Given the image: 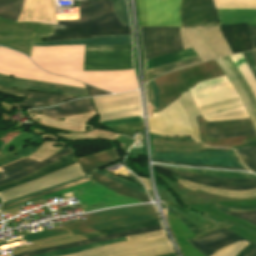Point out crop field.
Segmentation results:
<instances>
[{
	"label": "crop field",
	"instance_id": "1",
	"mask_svg": "<svg viewBox=\"0 0 256 256\" xmlns=\"http://www.w3.org/2000/svg\"><path fill=\"white\" fill-rule=\"evenodd\" d=\"M84 45L33 47L32 61L57 75L71 77L114 93L137 89L134 71L82 72Z\"/></svg>",
	"mask_w": 256,
	"mask_h": 256
},
{
	"label": "crop field",
	"instance_id": "2",
	"mask_svg": "<svg viewBox=\"0 0 256 256\" xmlns=\"http://www.w3.org/2000/svg\"><path fill=\"white\" fill-rule=\"evenodd\" d=\"M80 17L57 18L54 36L48 41L91 38V35L131 34L116 16L112 0H78Z\"/></svg>",
	"mask_w": 256,
	"mask_h": 256
},
{
	"label": "crop field",
	"instance_id": "3",
	"mask_svg": "<svg viewBox=\"0 0 256 256\" xmlns=\"http://www.w3.org/2000/svg\"><path fill=\"white\" fill-rule=\"evenodd\" d=\"M183 135H187L199 142V129L195 116L199 111L189 92L183 93L175 101ZM174 102L165 110L155 113L148 118L150 133L167 136L182 135Z\"/></svg>",
	"mask_w": 256,
	"mask_h": 256
},
{
	"label": "crop field",
	"instance_id": "4",
	"mask_svg": "<svg viewBox=\"0 0 256 256\" xmlns=\"http://www.w3.org/2000/svg\"><path fill=\"white\" fill-rule=\"evenodd\" d=\"M128 239L66 256H158L174 252L162 230L129 236Z\"/></svg>",
	"mask_w": 256,
	"mask_h": 256
},
{
	"label": "crop field",
	"instance_id": "5",
	"mask_svg": "<svg viewBox=\"0 0 256 256\" xmlns=\"http://www.w3.org/2000/svg\"><path fill=\"white\" fill-rule=\"evenodd\" d=\"M85 218L87 221L61 227L76 235L158 217L153 205H141L87 214Z\"/></svg>",
	"mask_w": 256,
	"mask_h": 256
},
{
	"label": "crop field",
	"instance_id": "6",
	"mask_svg": "<svg viewBox=\"0 0 256 256\" xmlns=\"http://www.w3.org/2000/svg\"><path fill=\"white\" fill-rule=\"evenodd\" d=\"M92 99L100 116V120L137 115L141 113L138 91L114 96L96 97ZM140 122H143V120L140 117V115H137L102 120L99 121V124L106 127H110Z\"/></svg>",
	"mask_w": 256,
	"mask_h": 256
},
{
	"label": "crop field",
	"instance_id": "7",
	"mask_svg": "<svg viewBox=\"0 0 256 256\" xmlns=\"http://www.w3.org/2000/svg\"><path fill=\"white\" fill-rule=\"evenodd\" d=\"M0 73L13 77L85 88L82 83L47 74L35 67L23 54L2 47H0Z\"/></svg>",
	"mask_w": 256,
	"mask_h": 256
},
{
	"label": "crop field",
	"instance_id": "8",
	"mask_svg": "<svg viewBox=\"0 0 256 256\" xmlns=\"http://www.w3.org/2000/svg\"><path fill=\"white\" fill-rule=\"evenodd\" d=\"M131 57V45H86L84 58H126ZM133 68L131 58L127 59H84L83 70H124Z\"/></svg>",
	"mask_w": 256,
	"mask_h": 256
},
{
	"label": "crop field",
	"instance_id": "9",
	"mask_svg": "<svg viewBox=\"0 0 256 256\" xmlns=\"http://www.w3.org/2000/svg\"><path fill=\"white\" fill-rule=\"evenodd\" d=\"M34 33L53 35L52 26L38 23H14L0 18V44L29 55Z\"/></svg>",
	"mask_w": 256,
	"mask_h": 256
},
{
	"label": "crop field",
	"instance_id": "10",
	"mask_svg": "<svg viewBox=\"0 0 256 256\" xmlns=\"http://www.w3.org/2000/svg\"><path fill=\"white\" fill-rule=\"evenodd\" d=\"M153 158L230 165V166H242L239 162L236 161L235 155L231 151H202V152L191 153V154L154 153ZM157 159H153V161L159 162V163H167V164L190 165V166L221 168V169H231V170H247L244 167H230V166L177 162V161H167V160H157Z\"/></svg>",
	"mask_w": 256,
	"mask_h": 256
},
{
	"label": "crop field",
	"instance_id": "11",
	"mask_svg": "<svg viewBox=\"0 0 256 256\" xmlns=\"http://www.w3.org/2000/svg\"><path fill=\"white\" fill-rule=\"evenodd\" d=\"M140 25L182 26L181 0H137Z\"/></svg>",
	"mask_w": 256,
	"mask_h": 256
},
{
	"label": "crop field",
	"instance_id": "12",
	"mask_svg": "<svg viewBox=\"0 0 256 256\" xmlns=\"http://www.w3.org/2000/svg\"><path fill=\"white\" fill-rule=\"evenodd\" d=\"M72 191L76 199L82 204L83 209L94 204L104 201L106 207L143 203L126 196L117 194L116 192L101 186L93 181L81 184L72 188H68L57 193L43 197L44 199L51 198L66 192ZM80 191H82L80 193Z\"/></svg>",
	"mask_w": 256,
	"mask_h": 256
},
{
	"label": "crop field",
	"instance_id": "13",
	"mask_svg": "<svg viewBox=\"0 0 256 256\" xmlns=\"http://www.w3.org/2000/svg\"><path fill=\"white\" fill-rule=\"evenodd\" d=\"M118 158H119V155L117 151L115 150V148H112L102 154L96 153V154L87 156L79 160V164L81 165L83 172L92 180L116 191L119 194L126 195V196H129L138 200H142L145 202H149L150 200L148 195L134 191L125 186H122L92 171L96 168L111 164L117 161Z\"/></svg>",
	"mask_w": 256,
	"mask_h": 256
},
{
	"label": "crop field",
	"instance_id": "14",
	"mask_svg": "<svg viewBox=\"0 0 256 256\" xmlns=\"http://www.w3.org/2000/svg\"><path fill=\"white\" fill-rule=\"evenodd\" d=\"M143 45L180 39L179 28L141 27ZM146 59L182 50L181 40L143 46Z\"/></svg>",
	"mask_w": 256,
	"mask_h": 256
},
{
	"label": "crop field",
	"instance_id": "15",
	"mask_svg": "<svg viewBox=\"0 0 256 256\" xmlns=\"http://www.w3.org/2000/svg\"><path fill=\"white\" fill-rule=\"evenodd\" d=\"M84 176L79 164L69 166L57 172L44 176L42 178L21 184L12 189L0 193L4 201L38 191L47 187H51L78 177Z\"/></svg>",
	"mask_w": 256,
	"mask_h": 256
},
{
	"label": "crop field",
	"instance_id": "16",
	"mask_svg": "<svg viewBox=\"0 0 256 256\" xmlns=\"http://www.w3.org/2000/svg\"><path fill=\"white\" fill-rule=\"evenodd\" d=\"M183 26L220 25L213 0H182Z\"/></svg>",
	"mask_w": 256,
	"mask_h": 256
},
{
	"label": "crop field",
	"instance_id": "17",
	"mask_svg": "<svg viewBox=\"0 0 256 256\" xmlns=\"http://www.w3.org/2000/svg\"><path fill=\"white\" fill-rule=\"evenodd\" d=\"M244 239L233 234L232 232L222 229L219 231L212 232L205 237L193 242L189 240L195 248H197L205 256L212 255L219 248L238 242ZM237 256H256V245L250 243L244 248Z\"/></svg>",
	"mask_w": 256,
	"mask_h": 256
},
{
	"label": "crop field",
	"instance_id": "18",
	"mask_svg": "<svg viewBox=\"0 0 256 256\" xmlns=\"http://www.w3.org/2000/svg\"><path fill=\"white\" fill-rule=\"evenodd\" d=\"M154 166L167 170L187 180L204 184L207 186L215 187V188L226 189V190H245V189L256 188V179H228V178L210 177V176L185 173V172L161 167L158 165H154Z\"/></svg>",
	"mask_w": 256,
	"mask_h": 256
},
{
	"label": "crop field",
	"instance_id": "19",
	"mask_svg": "<svg viewBox=\"0 0 256 256\" xmlns=\"http://www.w3.org/2000/svg\"><path fill=\"white\" fill-rule=\"evenodd\" d=\"M73 152L74 151H72L70 148L67 147L41 163L31 160L29 158H26V159L17 161L13 164L4 166V167H2V170L4 172L0 173V184H3L5 182L11 181L13 179L19 178L24 175L30 174V173L34 172L35 170H37L55 160L63 158L66 155L71 154ZM3 177H6V178H3Z\"/></svg>",
	"mask_w": 256,
	"mask_h": 256
},
{
	"label": "crop field",
	"instance_id": "20",
	"mask_svg": "<svg viewBox=\"0 0 256 256\" xmlns=\"http://www.w3.org/2000/svg\"><path fill=\"white\" fill-rule=\"evenodd\" d=\"M0 84L4 86L20 88V89L47 91V92H54V93L74 95V96H88L86 90H83V89L7 77L3 75H0Z\"/></svg>",
	"mask_w": 256,
	"mask_h": 256
},
{
	"label": "crop field",
	"instance_id": "21",
	"mask_svg": "<svg viewBox=\"0 0 256 256\" xmlns=\"http://www.w3.org/2000/svg\"><path fill=\"white\" fill-rule=\"evenodd\" d=\"M0 93H6L12 96L25 98L22 103H12V104L15 106L28 107V108L56 105L63 101L71 100L74 98V97L53 95V94H47V93H41V92H35V91L5 88L1 86H0ZM26 98L30 100H27Z\"/></svg>",
	"mask_w": 256,
	"mask_h": 256
},
{
	"label": "crop field",
	"instance_id": "22",
	"mask_svg": "<svg viewBox=\"0 0 256 256\" xmlns=\"http://www.w3.org/2000/svg\"><path fill=\"white\" fill-rule=\"evenodd\" d=\"M220 31L233 54L252 49L247 23L223 26Z\"/></svg>",
	"mask_w": 256,
	"mask_h": 256
},
{
	"label": "crop field",
	"instance_id": "23",
	"mask_svg": "<svg viewBox=\"0 0 256 256\" xmlns=\"http://www.w3.org/2000/svg\"><path fill=\"white\" fill-rule=\"evenodd\" d=\"M183 48H192L202 61L216 58V54L204 40L198 27L180 28Z\"/></svg>",
	"mask_w": 256,
	"mask_h": 256
},
{
	"label": "crop field",
	"instance_id": "24",
	"mask_svg": "<svg viewBox=\"0 0 256 256\" xmlns=\"http://www.w3.org/2000/svg\"><path fill=\"white\" fill-rule=\"evenodd\" d=\"M160 229H162L160 225L139 228V229L115 233V234H111V235L81 240V241H77V242H73V243H69V244H65V245H59V246L48 247V248H43V249H39V250L28 251L26 253H23V254H20L17 256H30V255H34V254L45 253V252H50V251H55V250H60V249H66V248L85 245V244H89V243L99 242V241H103V240H107V239H112V238H116V237L128 236V235L139 234V233L155 231V230H160Z\"/></svg>",
	"mask_w": 256,
	"mask_h": 256
},
{
	"label": "crop field",
	"instance_id": "25",
	"mask_svg": "<svg viewBox=\"0 0 256 256\" xmlns=\"http://www.w3.org/2000/svg\"><path fill=\"white\" fill-rule=\"evenodd\" d=\"M168 222L173 234L185 256H203L198 252L187 239L195 236L185 224L178 220L172 213L167 212Z\"/></svg>",
	"mask_w": 256,
	"mask_h": 256
},
{
	"label": "crop field",
	"instance_id": "26",
	"mask_svg": "<svg viewBox=\"0 0 256 256\" xmlns=\"http://www.w3.org/2000/svg\"><path fill=\"white\" fill-rule=\"evenodd\" d=\"M93 106L91 104L90 98L85 99H78L74 101H70L56 107L48 108V109H41V110H33L29 111L30 114L42 112L45 113L53 118L70 115V114H77L87 111H92Z\"/></svg>",
	"mask_w": 256,
	"mask_h": 256
},
{
	"label": "crop field",
	"instance_id": "27",
	"mask_svg": "<svg viewBox=\"0 0 256 256\" xmlns=\"http://www.w3.org/2000/svg\"><path fill=\"white\" fill-rule=\"evenodd\" d=\"M73 44H131V35L92 36V39H72L49 43H34L37 46L73 45Z\"/></svg>",
	"mask_w": 256,
	"mask_h": 256
},
{
	"label": "crop field",
	"instance_id": "28",
	"mask_svg": "<svg viewBox=\"0 0 256 256\" xmlns=\"http://www.w3.org/2000/svg\"><path fill=\"white\" fill-rule=\"evenodd\" d=\"M73 163H77V158H76L75 154H71V155L65 157L64 159L53 162V163L45 166L44 168L36 171L33 174H30V175H27L25 177H22V178L14 180V181L8 182L6 184L0 185V191L8 189V188L13 187V186H16L18 184L27 182L29 180L35 179L37 177L43 176L45 174L51 173L53 171L59 170L61 168L69 166Z\"/></svg>",
	"mask_w": 256,
	"mask_h": 256
},
{
	"label": "crop field",
	"instance_id": "29",
	"mask_svg": "<svg viewBox=\"0 0 256 256\" xmlns=\"http://www.w3.org/2000/svg\"><path fill=\"white\" fill-rule=\"evenodd\" d=\"M220 23L248 22L249 25H256V10L246 9H217Z\"/></svg>",
	"mask_w": 256,
	"mask_h": 256
},
{
	"label": "crop field",
	"instance_id": "30",
	"mask_svg": "<svg viewBox=\"0 0 256 256\" xmlns=\"http://www.w3.org/2000/svg\"><path fill=\"white\" fill-rule=\"evenodd\" d=\"M216 63L219 65V67L222 69V71L224 72V74L226 75V77L228 78V80L231 82V84L233 85V87L235 88V90L238 92V94L240 95L247 111L248 114L250 116V119L255 127V131H256V114L250 104L249 98L246 94V92L244 91V89L242 88L241 84L239 83V81L237 80V78L235 77V75L232 73V71L230 70V68L225 64V62L219 58V59H215Z\"/></svg>",
	"mask_w": 256,
	"mask_h": 256
},
{
	"label": "crop field",
	"instance_id": "31",
	"mask_svg": "<svg viewBox=\"0 0 256 256\" xmlns=\"http://www.w3.org/2000/svg\"><path fill=\"white\" fill-rule=\"evenodd\" d=\"M199 29L218 57L231 54L227 44L221 36L219 27H199Z\"/></svg>",
	"mask_w": 256,
	"mask_h": 256
},
{
	"label": "crop field",
	"instance_id": "32",
	"mask_svg": "<svg viewBox=\"0 0 256 256\" xmlns=\"http://www.w3.org/2000/svg\"><path fill=\"white\" fill-rule=\"evenodd\" d=\"M210 127H204L207 134L239 131L253 128L250 119L208 122Z\"/></svg>",
	"mask_w": 256,
	"mask_h": 256
},
{
	"label": "crop field",
	"instance_id": "33",
	"mask_svg": "<svg viewBox=\"0 0 256 256\" xmlns=\"http://www.w3.org/2000/svg\"><path fill=\"white\" fill-rule=\"evenodd\" d=\"M193 57H197V55L194 53L192 49H188V50H182V51L174 52L171 54H167L157 58L148 59L146 60V70L150 68L186 60Z\"/></svg>",
	"mask_w": 256,
	"mask_h": 256
},
{
	"label": "crop field",
	"instance_id": "34",
	"mask_svg": "<svg viewBox=\"0 0 256 256\" xmlns=\"http://www.w3.org/2000/svg\"><path fill=\"white\" fill-rule=\"evenodd\" d=\"M180 184L192 189L196 190V188L202 190V191H207L211 192L217 195H222V196H230V197H238V198H245V197H250V196H255L256 195V189L253 190H246V191H224V190H219V189H214V188H209V187H204L200 186L197 184L190 183L184 179H181L179 177L175 178Z\"/></svg>",
	"mask_w": 256,
	"mask_h": 256
},
{
	"label": "crop field",
	"instance_id": "35",
	"mask_svg": "<svg viewBox=\"0 0 256 256\" xmlns=\"http://www.w3.org/2000/svg\"><path fill=\"white\" fill-rule=\"evenodd\" d=\"M245 108L241 99L230 101V102H225L213 106H208L204 108H200L199 111L201 113V116L203 118L222 114V113H227L239 109Z\"/></svg>",
	"mask_w": 256,
	"mask_h": 256
},
{
	"label": "crop field",
	"instance_id": "36",
	"mask_svg": "<svg viewBox=\"0 0 256 256\" xmlns=\"http://www.w3.org/2000/svg\"><path fill=\"white\" fill-rule=\"evenodd\" d=\"M23 0H0V17L16 22Z\"/></svg>",
	"mask_w": 256,
	"mask_h": 256
},
{
	"label": "crop field",
	"instance_id": "37",
	"mask_svg": "<svg viewBox=\"0 0 256 256\" xmlns=\"http://www.w3.org/2000/svg\"><path fill=\"white\" fill-rule=\"evenodd\" d=\"M157 224H160L158 219L145 221V222H139V223H133V224H129V225L121 226V227L110 228V229L97 231V232H93V233H88V234H82L81 236L90 238V237H96V236L111 234V233H115V232L130 230V229H134V228H139V227L157 225Z\"/></svg>",
	"mask_w": 256,
	"mask_h": 256
},
{
	"label": "crop field",
	"instance_id": "38",
	"mask_svg": "<svg viewBox=\"0 0 256 256\" xmlns=\"http://www.w3.org/2000/svg\"><path fill=\"white\" fill-rule=\"evenodd\" d=\"M127 239L125 237L123 238H116L108 241H103L99 243H94L90 245H85V246H80L76 248H71V249H66V250H61V251H55V252H50V253H45V254H40L36 256H59V255H66V254H72V253H77L78 251L89 249V248H94L102 245H107L115 242H120V241H126Z\"/></svg>",
	"mask_w": 256,
	"mask_h": 256
},
{
	"label": "crop field",
	"instance_id": "39",
	"mask_svg": "<svg viewBox=\"0 0 256 256\" xmlns=\"http://www.w3.org/2000/svg\"><path fill=\"white\" fill-rule=\"evenodd\" d=\"M183 171H188L197 174H204L210 176H219V177H229V178H256V176L243 174V173H236V172H226V171H214V170H201V169H180V168H173Z\"/></svg>",
	"mask_w": 256,
	"mask_h": 256
},
{
	"label": "crop field",
	"instance_id": "40",
	"mask_svg": "<svg viewBox=\"0 0 256 256\" xmlns=\"http://www.w3.org/2000/svg\"><path fill=\"white\" fill-rule=\"evenodd\" d=\"M242 163L256 173V150L253 146L236 149Z\"/></svg>",
	"mask_w": 256,
	"mask_h": 256
},
{
	"label": "crop field",
	"instance_id": "41",
	"mask_svg": "<svg viewBox=\"0 0 256 256\" xmlns=\"http://www.w3.org/2000/svg\"><path fill=\"white\" fill-rule=\"evenodd\" d=\"M201 62L200 58H193V59H189L186 61H182V62H178V63H174V64H170V65H166V66H162V67H158V68H154V69H150L148 70L150 75H157V74H161V73H165L171 70H175V69H179L182 67H186L195 63Z\"/></svg>",
	"mask_w": 256,
	"mask_h": 256
},
{
	"label": "crop field",
	"instance_id": "42",
	"mask_svg": "<svg viewBox=\"0 0 256 256\" xmlns=\"http://www.w3.org/2000/svg\"><path fill=\"white\" fill-rule=\"evenodd\" d=\"M66 233H69V232H68V230H66L64 228H52L49 230L24 235V238H25L26 242H29V241L48 238V237H52V236L62 235V234H66Z\"/></svg>",
	"mask_w": 256,
	"mask_h": 256
},
{
	"label": "crop field",
	"instance_id": "43",
	"mask_svg": "<svg viewBox=\"0 0 256 256\" xmlns=\"http://www.w3.org/2000/svg\"><path fill=\"white\" fill-rule=\"evenodd\" d=\"M224 61L227 63V65L231 68V70L234 72V74L236 75V77L238 78V80L240 81V83L242 84V86L244 87L245 91L247 92L251 102H252V106L256 112V101L255 98L251 92V90L249 89L248 85L246 84L245 80L243 79V77L241 76V74L239 73L238 69L236 68V66L234 65V63L231 61V59L227 56V57H223Z\"/></svg>",
	"mask_w": 256,
	"mask_h": 256
},
{
	"label": "crop field",
	"instance_id": "44",
	"mask_svg": "<svg viewBox=\"0 0 256 256\" xmlns=\"http://www.w3.org/2000/svg\"><path fill=\"white\" fill-rule=\"evenodd\" d=\"M248 243L246 242H238L224 248L219 249L212 256H236Z\"/></svg>",
	"mask_w": 256,
	"mask_h": 256
},
{
	"label": "crop field",
	"instance_id": "45",
	"mask_svg": "<svg viewBox=\"0 0 256 256\" xmlns=\"http://www.w3.org/2000/svg\"><path fill=\"white\" fill-rule=\"evenodd\" d=\"M114 9L123 25H130L125 0H113Z\"/></svg>",
	"mask_w": 256,
	"mask_h": 256
},
{
	"label": "crop field",
	"instance_id": "46",
	"mask_svg": "<svg viewBox=\"0 0 256 256\" xmlns=\"http://www.w3.org/2000/svg\"><path fill=\"white\" fill-rule=\"evenodd\" d=\"M35 149H36V147L28 145L23 151H21L20 153H18L14 157L1 161L0 162V167L4 166L6 164H9V163H11V162H13L17 159H21V158H25V157L30 156L31 154H33L35 152Z\"/></svg>",
	"mask_w": 256,
	"mask_h": 256
},
{
	"label": "crop field",
	"instance_id": "47",
	"mask_svg": "<svg viewBox=\"0 0 256 256\" xmlns=\"http://www.w3.org/2000/svg\"><path fill=\"white\" fill-rule=\"evenodd\" d=\"M88 181H91V180H90L89 178H87V179H83V180H80V181H76V182L70 183V184H68V185H65V186H62V187H59V188H56V189H53V190H50V191H47V192H43V193L40 194V195H37V196L31 197V198H28V199H25V200H22V201H19V202H15V203H12V204L3 206V207H1V209H2V208H5V207H8V206H11V205H14V204H17V203H21V202H24V201H27V200H30V199L39 197V196H41V195L45 196V195H48V194L57 192V191H59V190H62V189H65V188H68V187H71V186H75V185H78V184H81V183H84V182H88Z\"/></svg>",
	"mask_w": 256,
	"mask_h": 256
},
{
	"label": "crop field",
	"instance_id": "48",
	"mask_svg": "<svg viewBox=\"0 0 256 256\" xmlns=\"http://www.w3.org/2000/svg\"><path fill=\"white\" fill-rule=\"evenodd\" d=\"M242 54L256 79V50L251 52H245Z\"/></svg>",
	"mask_w": 256,
	"mask_h": 256
},
{
	"label": "crop field",
	"instance_id": "49",
	"mask_svg": "<svg viewBox=\"0 0 256 256\" xmlns=\"http://www.w3.org/2000/svg\"><path fill=\"white\" fill-rule=\"evenodd\" d=\"M251 134H256V133L254 130H248V131H240V132H232V133L213 134L208 136L210 138H227V137H236V136L251 135Z\"/></svg>",
	"mask_w": 256,
	"mask_h": 256
},
{
	"label": "crop field",
	"instance_id": "50",
	"mask_svg": "<svg viewBox=\"0 0 256 256\" xmlns=\"http://www.w3.org/2000/svg\"><path fill=\"white\" fill-rule=\"evenodd\" d=\"M94 171H96V172H98V173H100V174H102V175H104V176H106V177H108V178H111V179H113V180H115V181H117V182H119V183H121V184H123V185H125V186H127V187H130V188H132V189H134V190H137V191L146 193V190H144V189H142V188H140V187H137V186H135V185H133V184H130V183L124 181V180H121V179L115 178V177H113V176H110V175H108V174H106V173H104V172H102V171H100V170H98V169H96V170H94ZM146 194H147V193H146Z\"/></svg>",
	"mask_w": 256,
	"mask_h": 256
},
{
	"label": "crop field",
	"instance_id": "51",
	"mask_svg": "<svg viewBox=\"0 0 256 256\" xmlns=\"http://www.w3.org/2000/svg\"><path fill=\"white\" fill-rule=\"evenodd\" d=\"M233 216L243 218L256 224V212H238V213H227Z\"/></svg>",
	"mask_w": 256,
	"mask_h": 256
},
{
	"label": "crop field",
	"instance_id": "52",
	"mask_svg": "<svg viewBox=\"0 0 256 256\" xmlns=\"http://www.w3.org/2000/svg\"><path fill=\"white\" fill-rule=\"evenodd\" d=\"M83 178H87V177H86V176H84V177H81V178H78V179H75V180H72V181H69V182H66V183H63V184H60V185H57V186L51 187V188H48V189H45V190H41V191H38V192H35V193H32V194L26 195V196H23V197H19V198H16V199H13V200H10V201H7V202H4V203H3V205H6V204H9V203H12V202H15V201H18V200H21V199H24V198H27V197L33 196V195L40 194V193H41V192H43V191H47V190H50V189H53V188H56V187L62 186V185H64V184H67V183H70V182H73V181H76V180L83 179Z\"/></svg>",
	"mask_w": 256,
	"mask_h": 256
},
{
	"label": "crop field",
	"instance_id": "53",
	"mask_svg": "<svg viewBox=\"0 0 256 256\" xmlns=\"http://www.w3.org/2000/svg\"><path fill=\"white\" fill-rule=\"evenodd\" d=\"M168 207V206H167ZM168 210L171 211L177 218H179L182 222H184L191 230L192 232L196 235L197 232L202 231L201 228L193 225L183 217H181L179 214H177L175 211H173L171 208L168 207Z\"/></svg>",
	"mask_w": 256,
	"mask_h": 256
},
{
	"label": "crop field",
	"instance_id": "54",
	"mask_svg": "<svg viewBox=\"0 0 256 256\" xmlns=\"http://www.w3.org/2000/svg\"><path fill=\"white\" fill-rule=\"evenodd\" d=\"M222 212H230V211H255L256 206L250 207H219Z\"/></svg>",
	"mask_w": 256,
	"mask_h": 256
},
{
	"label": "crop field",
	"instance_id": "55",
	"mask_svg": "<svg viewBox=\"0 0 256 256\" xmlns=\"http://www.w3.org/2000/svg\"><path fill=\"white\" fill-rule=\"evenodd\" d=\"M86 88H87V91H88V94H89L90 97L111 94V93H107V92L101 91L99 89L93 88V87L88 86V85H86Z\"/></svg>",
	"mask_w": 256,
	"mask_h": 256
},
{
	"label": "crop field",
	"instance_id": "56",
	"mask_svg": "<svg viewBox=\"0 0 256 256\" xmlns=\"http://www.w3.org/2000/svg\"><path fill=\"white\" fill-rule=\"evenodd\" d=\"M253 49L256 48V27H249Z\"/></svg>",
	"mask_w": 256,
	"mask_h": 256
},
{
	"label": "crop field",
	"instance_id": "57",
	"mask_svg": "<svg viewBox=\"0 0 256 256\" xmlns=\"http://www.w3.org/2000/svg\"><path fill=\"white\" fill-rule=\"evenodd\" d=\"M152 84H153V91H154V97H155V107L158 109V93H160V92H159L154 80H152Z\"/></svg>",
	"mask_w": 256,
	"mask_h": 256
},
{
	"label": "crop field",
	"instance_id": "58",
	"mask_svg": "<svg viewBox=\"0 0 256 256\" xmlns=\"http://www.w3.org/2000/svg\"><path fill=\"white\" fill-rule=\"evenodd\" d=\"M147 90H148L149 102L154 105V97H153V91H152V84H151V82L148 84Z\"/></svg>",
	"mask_w": 256,
	"mask_h": 256
},
{
	"label": "crop field",
	"instance_id": "59",
	"mask_svg": "<svg viewBox=\"0 0 256 256\" xmlns=\"http://www.w3.org/2000/svg\"><path fill=\"white\" fill-rule=\"evenodd\" d=\"M163 256H176L175 253L168 254V255H163Z\"/></svg>",
	"mask_w": 256,
	"mask_h": 256
},
{
	"label": "crop field",
	"instance_id": "60",
	"mask_svg": "<svg viewBox=\"0 0 256 256\" xmlns=\"http://www.w3.org/2000/svg\"><path fill=\"white\" fill-rule=\"evenodd\" d=\"M0 172H2V170L0 169Z\"/></svg>",
	"mask_w": 256,
	"mask_h": 256
},
{
	"label": "crop field",
	"instance_id": "61",
	"mask_svg": "<svg viewBox=\"0 0 256 256\" xmlns=\"http://www.w3.org/2000/svg\"><path fill=\"white\" fill-rule=\"evenodd\" d=\"M255 148H256V146H255Z\"/></svg>",
	"mask_w": 256,
	"mask_h": 256
},
{
	"label": "crop field",
	"instance_id": "62",
	"mask_svg": "<svg viewBox=\"0 0 256 256\" xmlns=\"http://www.w3.org/2000/svg\"><path fill=\"white\" fill-rule=\"evenodd\" d=\"M1 201V200H0Z\"/></svg>",
	"mask_w": 256,
	"mask_h": 256
}]
</instances>
